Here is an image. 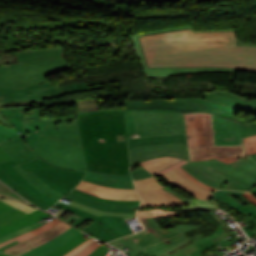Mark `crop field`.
Segmentation results:
<instances>
[{"mask_svg": "<svg viewBox=\"0 0 256 256\" xmlns=\"http://www.w3.org/2000/svg\"><path fill=\"white\" fill-rule=\"evenodd\" d=\"M24 214H26V213H24L16 208H12V209L0 214V225L6 224Z\"/></svg>", "mask_w": 256, "mask_h": 256, "instance_id": "crop-field-41", "label": "crop field"}, {"mask_svg": "<svg viewBox=\"0 0 256 256\" xmlns=\"http://www.w3.org/2000/svg\"><path fill=\"white\" fill-rule=\"evenodd\" d=\"M144 71L147 75V78L178 75V74H188V73H198V72H210V71L234 72V74L236 72L234 70L220 69V68L146 69ZM234 74L231 80H233Z\"/></svg>", "mask_w": 256, "mask_h": 256, "instance_id": "crop-field-26", "label": "crop field"}, {"mask_svg": "<svg viewBox=\"0 0 256 256\" xmlns=\"http://www.w3.org/2000/svg\"><path fill=\"white\" fill-rule=\"evenodd\" d=\"M249 192L253 193V194H256V188L250 190Z\"/></svg>", "mask_w": 256, "mask_h": 256, "instance_id": "crop-field-64", "label": "crop field"}, {"mask_svg": "<svg viewBox=\"0 0 256 256\" xmlns=\"http://www.w3.org/2000/svg\"><path fill=\"white\" fill-rule=\"evenodd\" d=\"M123 106L127 137L138 134L132 111L183 113L181 99L124 101Z\"/></svg>", "mask_w": 256, "mask_h": 256, "instance_id": "crop-field-13", "label": "crop field"}, {"mask_svg": "<svg viewBox=\"0 0 256 256\" xmlns=\"http://www.w3.org/2000/svg\"><path fill=\"white\" fill-rule=\"evenodd\" d=\"M78 233H80L78 230L72 228L66 231L65 233H63L61 236H59L55 240L48 242L44 245H41L21 256H45L51 253L52 251H54L55 249H57L58 247H60L61 245H63L65 242L73 238Z\"/></svg>", "mask_w": 256, "mask_h": 256, "instance_id": "crop-field-25", "label": "crop field"}, {"mask_svg": "<svg viewBox=\"0 0 256 256\" xmlns=\"http://www.w3.org/2000/svg\"><path fill=\"white\" fill-rule=\"evenodd\" d=\"M246 206H248V207L251 208L252 210L256 211V207H255L253 204L246 205Z\"/></svg>", "mask_w": 256, "mask_h": 256, "instance_id": "crop-field-63", "label": "crop field"}, {"mask_svg": "<svg viewBox=\"0 0 256 256\" xmlns=\"http://www.w3.org/2000/svg\"><path fill=\"white\" fill-rule=\"evenodd\" d=\"M109 244H112L114 246H117V245L121 244L124 247H127L128 249H130V252H132L135 255L142 252L138 248H136L137 246L135 247L126 237L121 238V239L116 240V241H113V242H110Z\"/></svg>", "mask_w": 256, "mask_h": 256, "instance_id": "crop-field-46", "label": "crop field"}, {"mask_svg": "<svg viewBox=\"0 0 256 256\" xmlns=\"http://www.w3.org/2000/svg\"><path fill=\"white\" fill-rule=\"evenodd\" d=\"M17 135H19V133L13 127L8 128L0 124V142L13 138Z\"/></svg>", "mask_w": 256, "mask_h": 256, "instance_id": "crop-field-45", "label": "crop field"}, {"mask_svg": "<svg viewBox=\"0 0 256 256\" xmlns=\"http://www.w3.org/2000/svg\"><path fill=\"white\" fill-rule=\"evenodd\" d=\"M182 213L164 211L162 209L148 210V211H137L138 218L143 217H163V216H177L181 217Z\"/></svg>", "mask_w": 256, "mask_h": 256, "instance_id": "crop-field-39", "label": "crop field"}, {"mask_svg": "<svg viewBox=\"0 0 256 256\" xmlns=\"http://www.w3.org/2000/svg\"><path fill=\"white\" fill-rule=\"evenodd\" d=\"M172 172L177 175L180 179H182L183 181H185L186 183L202 190V191H205L207 193H210L212 194L213 193V190H210V189H207V188H204L202 187L201 185L195 183L194 181L190 180L184 173H182L180 170H178L177 168L172 170Z\"/></svg>", "mask_w": 256, "mask_h": 256, "instance_id": "crop-field-44", "label": "crop field"}, {"mask_svg": "<svg viewBox=\"0 0 256 256\" xmlns=\"http://www.w3.org/2000/svg\"><path fill=\"white\" fill-rule=\"evenodd\" d=\"M212 123L215 145H244L242 138L256 134V127L236 124L213 114Z\"/></svg>", "mask_w": 256, "mask_h": 256, "instance_id": "crop-field-14", "label": "crop field"}, {"mask_svg": "<svg viewBox=\"0 0 256 256\" xmlns=\"http://www.w3.org/2000/svg\"><path fill=\"white\" fill-rule=\"evenodd\" d=\"M140 220L146 229L127 237L150 256H162L168 251L189 242L191 239L202 237L199 234L188 239L183 234L200 226L178 225L163 232L153 218Z\"/></svg>", "mask_w": 256, "mask_h": 256, "instance_id": "crop-field-6", "label": "crop field"}, {"mask_svg": "<svg viewBox=\"0 0 256 256\" xmlns=\"http://www.w3.org/2000/svg\"><path fill=\"white\" fill-rule=\"evenodd\" d=\"M93 240V238L88 239L87 241H85L84 243H82L81 245H79L78 247H76L75 249H73L72 251H70L69 253H67L64 256H70L73 253H75L76 251H78L79 249H81L82 247H84L86 244H88L89 242H91Z\"/></svg>", "mask_w": 256, "mask_h": 256, "instance_id": "crop-field-55", "label": "crop field"}, {"mask_svg": "<svg viewBox=\"0 0 256 256\" xmlns=\"http://www.w3.org/2000/svg\"><path fill=\"white\" fill-rule=\"evenodd\" d=\"M242 196L246 197L250 202H252L256 206V197L249 193H245Z\"/></svg>", "mask_w": 256, "mask_h": 256, "instance_id": "crop-field-58", "label": "crop field"}, {"mask_svg": "<svg viewBox=\"0 0 256 256\" xmlns=\"http://www.w3.org/2000/svg\"><path fill=\"white\" fill-rule=\"evenodd\" d=\"M0 180H2L4 183H6L8 186H10L12 189H14L16 192H18L21 196H23L25 199H27L29 202H31L33 205L46 210L50 208L46 204L42 203L35 197L28 194L26 191H24L20 186H18L9 176L8 174L3 170L0 169Z\"/></svg>", "mask_w": 256, "mask_h": 256, "instance_id": "crop-field-28", "label": "crop field"}, {"mask_svg": "<svg viewBox=\"0 0 256 256\" xmlns=\"http://www.w3.org/2000/svg\"><path fill=\"white\" fill-rule=\"evenodd\" d=\"M182 159H176V158H169V157H162V158H155L151 160H147L144 162L139 163L143 168L150 171L152 174L161 171L179 161Z\"/></svg>", "mask_w": 256, "mask_h": 256, "instance_id": "crop-field-30", "label": "crop field"}, {"mask_svg": "<svg viewBox=\"0 0 256 256\" xmlns=\"http://www.w3.org/2000/svg\"><path fill=\"white\" fill-rule=\"evenodd\" d=\"M0 193L1 194H5V195H12V196H14V197H16V198H18V199H21V200H23L22 198H20L19 196H17L15 193H13L12 191H10L8 188H6L4 185H2L1 183H0Z\"/></svg>", "mask_w": 256, "mask_h": 256, "instance_id": "crop-field-54", "label": "crop field"}, {"mask_svg": "<svg viewBox=\"0 0 256 256\" xmlns=\"http://www.w3.org/2000/svg\"><path fill=\"white\" fill-rule=\"evenodd\" d=\"M83 235L84 234L82 233L78 234L76 237H74L66 244H64L63 246H61L60 248H58L57 250H55L54 252L47 256H63L64 254H66L67 252H69L70 250H72L73 248H75L76 246H78L79 244L88 239L83 238Z\"/></svg>", "mask_w": 256, "mask_h": 256, "instance_id": "crop-field-36", "label": "crop field"}, {"mask_svg": "<svg viewBox=\"0 0 256 256\" xmlns=\"http://www.w3.org/2000/svg\"><path fill=\"white\" fill-rule=\"evenodd\" d=\"M15 168L35 187L46 193L47 195L55 198L61 199L64 195L59 192L47 187L36 175H34L31 171L25 172L19 165L15 166Z\"/></svg>", "mask_w": 256, "mask_h": 256, "instance_id": "crop-field-29", "label": "crop field"}, {"mask_svg": "<svg viewBox=\"0 0 256 256\" xmlns=\"http://www.w3.org/2000/svg\"><path fill=\"white\" fill-rule=\"evenodd\" d=\"M70 69L65 58H52L0 66V87H20L46 82L44 76Z\"/></svg>", "mask_w": 256, "mask_h": 256, "instance_id": "crop-field-7", "label": "crop field"}, {"mask_svg": "<svg viewBox=\"0 0 256 256\" xmlns=\"http://www.w3.org/2000/svg\"><path fill=\"white\" fill-rule=\"evenodd\" d=\"M18 62L64 56L61 49L16 53Z\"/></svg>", "mask_w": 256, "mask_h": 256, "instance_id": "crop-field-31", "label": "crop field"}, {"mask_svg": "<svg viewBox=\"0 0 256 256\" xmlns=\"http://www.w3.org/2000/svg\"><path fill=\"white\" fill-rule=\"evenodd\" d=\"M108 251H109L108 248L101 245L98 249H96L89 256H105Z\"/></svg>", "mask_w": 256, "mask_h": 256, "instance_id": "crop-field-53", "label": "crop field"}, {"mask_svg": "<svg viewBox=\"0 0 256 256\" xmlns=\"http://www.w3.org/2000/svg\"><path fill=\"white\" fill-rule=\"evenodd\" d=\"M49 214L41 211V210H35L11 223H8L6 225L0 226V237L15 231L19 228H22L24 226H27L31 223H34L36 221H39L43 219L44 217L48 216Z\"/></svg>", "mask_w": 256, "mask_h": 256, "instance_id": "crop-field-27", "label": "crop field"}, {"mask_svg": "<svg viewBox=\"0 0 256 256\" xmlns=\"http://www.w3.org/2000/svg\"><path fill=\"white\" fill-rule=\"evenodd\" d=\"M83 180L104 186L135 189L130 175H110L87 172Z\"/></svg>", "mask_w": 256, "mask_h": 256, "instance_id": "crop-field-23", "label": "crop field"}, {"mask_svg": "<svg viewBox=\"0 0 256 256\" xmlns=\"http://www.w3.org/2000/svg\"><path fill=\"white\" fill-rule=\"evenodd\" d=\"M190 161L216 158L226 163L246 156L243 146H214L211 114H184Z\"/></svg>", "mask_w": 256, "mask_h": 256, "instance_id": "crop-field-5", "label": "crop field"}, {"mask_svg": "<svg viewBox=\"0 0 256 256\" xmlns=\"http://www.w3.org/2000/svg\"><path fill=\"white\" fill-rule=\"evenodd\" d=\"M33 105L31 102H26V103H10V104H6V103H0V108H5V107H9V106H30ZM0 123H3L9 127H11L12 125L4 118V116L0 113Z\"/></svg>", "mask_w": 256, "mask_h": 256, "instance_id": "crop-field-49", "label": "crop field"}, {"mask_svg": "<svg viewBox=\"0 0 256 256\" xmlns=\"http://www.w3.org/2000/svg\"><path fill=\"white\" fill-rule=\"evenodd\" d=\"M0 146L18 163H24L38 158L17 136L11 140L0 143Z\"/></svg>", "mask_w": 256, "mask_h": 256, "instance_id": "crop-field-22", "label": "crop field"}, {"mask_svg": "<svg viewBox=\"0 0 256 256\" xmlns=\"http://www.w3.org/2000/svg\"><path fill=\"white\" fill-rule=\"evenodd\" d=\"M55 206L61 207L69 212L75 213L77 215L83 216L87 219H90L92 221L97 220L100 222L102 225L108 227L118 238L132 233L131 228L128 226V224L125 222L123 217H118V216H110V215H104L97 217L95 215H92L90 213H87L85 211L73 208L71 206L62 204V203H57Z\"/></svg>", "mask_w": 256, "mask_h": 256, "instance_id": "crop-field-17", "label": "crop field"}, {"mask_svg": "<svg viewBox=\"0 0 256 256\" xmlns=\"http://www.w3.org/2000/svg\"><path fill=\"white\" fill-rule=\"evenodd\" d=\"M16 243H18V242L15 241V242H13V243H10V244H8V245H6V246L0 248V252L6 253V252H4L2 249L6 248V247H9V246H11V245H13V244H16Z\"/></svg>", "mask_w": 256, "mask_h": 256, "instance_id": "crop-field-62", "label": "crop field"}, {"mask_svg": "<svg viewBox=\"0 0 256 256\" xmlns=\"http://www.w3.org/2000/svg\"><path fill=\"white\" fill-rule=\"evenodd\" d=\"M76 189L100 198L113 200H140L136 190L109 188L82 181Z\"/></svg>", "mask_w": 256, "mask_h": 256, "instance_id": "crop-field-19", "label": "crop field"}, {"mask_svg": "<svg viewBox=\"0 0 256 256\" xmlns=\"http://www.w3.org/2000/svg\"><path fill=\"white\" fill-rule=\"evenodd\" d=\"M134 180L135 179H139V178H144V177H148V176H152V174L148 171H146L145 169L141 168L135 171L131 172Z\"/></svg>", "mask_w": 256, "mask_h": 256, "instance_id": "crop-field-52", "label": "crop field"}, {"mask_svg": "<svg viewBox=\"0 0 256 256\" xmlns=\"http://www.w3.org/2000/svg\"><path fill=\"white\" fill-rule=\"evenodd\" d=\"M4 203H5V202H4ZM4 203L0 201V213H2V212H4V211H6V210L12 208V207L6 205L7 203H6V204H4Z\"/></svg>", "mask_w": 256, "mask_h": 256, "instance_id": "crop-field-59", "label": "crop field"}, {"mask_svg": "<svg viewBox=\"0 0 256 256\" xmlns=\"http://www.w3.org/2000/svg\"><path fill=\"white\" fill-rule=\"evenodd\" d=\"M199 181L217 188L220 183L224 189L248 191L256 187V162L252 159L230 164L216 159L189 162L182 165Z\"/></svg>", "mask_w": 256, "mask_h": 256, "instance_id": "crop-field-4", "label": "crop field"}, {"mask_svg": "<svg viewBox=\"0 0 256 256\" xmlns=\"http://www.w3.org/2000/svg\"><path fill=\"white\" fill-rule=\"evenodd\" d=\"M243 230L245 231V233L248 235V237L253 236L255 233L251 230V228L249 226L247 227H243Z\"/></svg>", "mask_w": 256, "mask_h": 256, "instance_id": "crop-field-60", "label": "crop field"}, {"mask_svg": "<svg viewBox=\"0 0 256 256\" xmlns=\"http://www.w3.org/2000/svg\"><path fill=\"white\" fill-rule=\"evenodd\" d=\"M82 231L86 232L87 234L96 237L98 239H101L105 242L117 239L113 233L109 231L106 227L102 226L98 222H93L89 226H87L85 229Z\"/></svg>", "mask_w": 256, "mask_h": 256, "instance_id": "crop-field-33", "label": "crop field"}, {"mask_svg": "<svg viewBox=\"0 0 256 256\" xmlns=\"http://www.w3.org/2000/svg\"><path fill=\"white\" fill-rule=\"evenodd\" d=\"M20 88H0V102H26L32 101L34 104H44L43 99L65 95L79 90H91L104 88V85L87 87V82L69 84L59 87L58 84L52 86L49 82L40 85Z\"/></svg>", "mask_w": 256, "mask_h": 256, "instance_id": "crop-field-9", "label": "crop field"}, {"mask_svg": "<svg viewBox=\"0 0 256 256\" xmlns=\"http://www.w3.org/2000/svg\"><path fill=\"white\" fill-rule=\"evenodd\" d=\"M2 200H4L5 202H7V203H9V204H11V205H13V206H15V207L25 211V212H31L32 210H34V208L29 207L27 205H24V204H22L20 202H17L15 200H11V199H2Z\"/></svg>", "mask_w": 256, "mask_h": 256, "instance_id": "crop-field-51", "label": "crop field"}, {"mask_svg": "<svg viewBox=\"0 0 256 256\" xmlns=\"http://www.w3.org/2000/svg\"><path fill=\"white\" fill-rule=\"evenodd\" d=\"M17 165V163L12 160V161H7V162H1L0 163V168H3L9 175L10 177L17 183L19 184L23 189H25L28 193L31 195L35 196L42 202L46 203L47 205H53L55 204L56 200L48 197L45 195L43 192L32 186L13 166Z\"/></svg>", "mask_w": 256, "mask_h": 256, "instance_id": "crop-field-21", "label": "crop field"}, {"mask_svg": "<svg viewBox=\"0 0 256 256\" xmlns=\"http://www.w3.org/2000/svg\"><path fill=\"white\" fill-rule=\"evenodd\" d=\"M199 249L196 247L192 242H189L164 256H190L189 254L194 252L195 250Z\"/></svg>", "mask_w": 256, "mask_h": 256, "instance_id": "crop-field-40", "label": "crop field"}, {"mask_svg": "<svg viewBox=\"0 0 256 256\" xmlns=\"http://www.w3.org/2000/svg\"><path fill=\"white\" fill-rule=\"evenodd\" d=\"M0 256H9V255H5V254H1V253H0Z\"/></svg>", "mask_w": 256, "mask_h": 256, "instance_id": "crop-field-66", "label": "crop field"}, {"mask_svg": "<svg viewBox=\"0 0 256 256\" xmlns=\"http://www.w3.org/2000/svg\"><path fill=\"white\" fill-rule=\"evenodd\" d=\"M32 151L53 166L87 171L77 125L47 126Z\"/></svg>", "mask_w": 256, "mask_h": 256, "instance_id": "crop-field-3", "label": "crop field"}, {"mask_svg": "<svg viewBox=\"0 0 256 256\" xmlns=\"http://www.w3.org/2000/svg\"><path fill=\"white\" fill-rule=\"evenodd\" d=\"M133 113L139 136L186 133L183 114Z\"/></svg>", "mask_w": 256, "mask_h": 256, "instance_id": "crop-field-11", "label": "crop field"}, {"mask_svg": "<svg viewBox=\"0 0 256 256\" xmlns=\"http://www.w3.org/2000/svg\"><path fill=\"white\" fill-rule=\"evenodd\" d=\"M143 68L220 67L256 72V45L239 44L235 29L193 26L133 34Z\"/></svg>", "mask_w": 256, "mask_h": 256, "instance_id": "crop-field-1", "label": "crop field"}, {"mask_svg": "<svg viewBox=\"0 0 256 256\" xmlns=\"http://www.w3.org/2000/svg\"><path fill=\"white\" fill-rule=\"evenodd\" d=\"M60 220H58V219H53V220H51L50 222H48L47 224H45V225H43V226H41V227H39V228H36V229H34V230H32V231H30V232H28V233H25V234H22V235H20V236H17V237H15V238H12V239H10V240H8V241H5V242H3V243H1L0 244V247L1 246H3V245H5V244H8V243H10V242H13V241H15V240H17V241H22V240H25V239H27V238H30V237H33V236H35V235H37V234H40V233H42V232H44V231H46V230H48L49 228H51L52 226H54L56 223H58Z\"/></svg>", "mask_w": 256, "mask_h": 256, "instance_id": "crop-field-35", "label": "crop field"}, {"mask_svg": "<svg viewBox=\"0 0 256 256\" xmlns=\"http://www.w3.org/2000/svg\"><path fill=\"white\" fill-rule=\"evenodd\" d=\"M20 166L25 171L31 170L46 185L65 195L81 181L85 174L84 171H72L53 167L40 158Z\"/></svg>", "mask_w": 256, "mask_h": 256, "instance_id": "crop-field-10", "label": "crop field"}, {"mask_svg": "<svg viewBox=\"0 0 256 256\" xmlns=\"http://www.w3.org/2000/svg\"><path fill=\"white\" fill-rule=\"evenodd\" d=\"M243 140H244V144L247 149L248 155L255 154L256 153V135L249 138H245Z\"/></svg>", "mask_w": 256, "mask_h": 256, "instance_id": "crop-field-48", "label": "crop field"}, {"mask_svg": "<svg viewBox=\"0 0 256 256\" xmlns=\"http://www.w3.org/2000/svg\"><path fill=\"white\" fill-rule=\"evenodd\" d=\"M131 166L140 161L170 156L189 161L186 134L128 138Z\"/></svg>", "mask_w": 256, "mask_h": 256, "instance_id": "crop-field-8", "label": "crop field"}, {"mask_svg": "<svg viewBox=\"0 0 256 256\" xmlns=\"http://www.w3.org/2000/svg\"><path fill=\"white\" fill-rule=\"evenodd\" d=\"M88 171L130 174L123 110L77 114Z\"/></svg>", "mask_w": 256, "mask_h": 256, "instance_id": "crop-field-2", "label": "crop field"}, {"mask_svg": "<svg viewBox=\"0 0 256 256\" xmlns=\"http://www.w3.org/2000/svg\"><path fill=\"white\" fill-rule=\"evenodd\" d=\"M97 242L98 241L92 242L74 256H88L91 252H93L96 248L100 246V244H98Z\"/></svg>", "mask_w": 256, "mask_h": 256, "instance_id": "crop-field-50", "label": "crop field"}, {"mask_svg": "<svg viewBox=\"0 0 256 256\" xmlns=\"http://www.w3.org/2000/svg\"><path fill=\"white\" fill-rule=\"evenodd\" d=\"M20 112L24 124V133L20 137L31 150L46 125L77 124L75 115L42 117L41 110H31L30 107H26V111Z\"/></svg>", "mask_w": 256, "mask_h": 256, "instance_id": "crop-field-12", "label": "crop field"}, {"mask_svg": "<svg viewBox=\"0 0 256 256\" xmlns=\"http://www.w3.org/2000/svg\"><path fill=\"white\" fill-rule=\"evenodd\" d=\"M205 99L256 114V99L239 97L227 91H212L205 94Z\"/></svg>", "mask_w": 256, "mask_h": 256, "instance_id": "crop-field-20", "label": "crop field"}, {"mask_svg": "<svg viewBox=\"0 0 256 256\" xmlns=\"http://www.w3.org/2000/svg\"><path fill=\"white\" fill-rule=\"evenodd\" d=\"M19 110H25V108L10 107L9 109H0V112L8 119L17 131L23 133V125Z\"/></svg>", "mask_w": 256, "mask_h": 256, "instance_id": "crop-field-34", "label": "crop field"}, {"mask_svg": "<svg viewBox=\"0 0 256 256\" xmlns=\"http://www.w3.org/2000/svg\"><path fill=\"white\" fill-rule=\"evenodd\" d=\"M184 163H187V161L184 160V161H182V162H180V163H178V164H176V165H174V166H172V167H170V168H168V169H165V170H163V171H161V172H158V173L154 174V176H155V175L162 174V173H164V172H167V171H169V170H171V169L177 167V168L180 169L182 172H184L190 179H192V180L198 182L199 184H201V185H203V186H205V187H207V188L216 190V189H214V188H212V187H210V186H208V185H205V184L199 182V181L196 180L193 176H191L185 169H183V168L180 166V165H182V164H184Z\"/></svg>", "mask_w": 256, "mask_h": 256, "instance_id": "crop-field-47", "label": "crop field"}, {"mask_svg": "<svg viewBox=\"0 0 256 256\" xmlns=\"http://www.w3.org/2000/svg\"><path fill=\"white\" fill-rule=\"evenodd\" d=\"M65 204H67V203H65ZM68 205H71V206H74V207H76V208L85 210V211L90 212V213H92V214H95V215H97V216L104 215V214H110V215L123 216L124 219L132 218V217H135V216H136L135 214L103 212V211H99V210L90 208V207H88V206H85V205H82V204H79V203H76V202H73V201H70V203H69Z\"/></svg>", "mask_w": 256, "mask_h": 256, "instance_id": "crop-field-38", "label": "crop field"}, {"mask_svg": "<svg viewBox=\"0 0 256 256\" xmlns=\"http://www.w3.org/2000/svg\"><path fill=\"white\" fill-rule=\"evenodd\" d=\"M251 158L256 160V155H251Z\"/></svg>", "mask_w": 256, "mask_h": 256, "instance_id": "crop-field-65", "label": "crop field"}, {"mask_svg": "<svg viewBox=\"0 0 256 256\" xmlns=\"http://www.w3.org/2000/svg\"><path fill=\"white\" fill-rule=\"evenodd\" d=\"M73 103L77 106V113L91 111V110H100L98 97L95 99L85 98L83 100H73Z\"/></svg>", "mask_w": 256, "mask_h": 256, "instance_id": "crop-field-37", "label": "crop field"}, {"mask_svg": "<svg viewBox=\"0 0 256 256\" xmlns=\"http://www.w3.org/2000/svg\"><path fill=\"white\" fill-rule=\"evenodd\" d=\"M72 228L71 226L67 225L64 222H59L57 225L49 229L48 231L37 235L33 238H30L28 240L22 241L16 245H13L9 248L4 249L7 253L13 254V255H21L22 253L35 248L41 244H44L56 237H58L60 234L65 232L66 230Z\"/></svg>", "mask_w": 256, "mask_h": 256, "instance_id": "crop-field-18", "label": "crop field"}, {"mask_svg": "<svg viewBox=\"0 0 256 256\" xmlns=\"http://www.w3.org/2000/svg\"><path fill=\"white\" fill-rule=\"evenodd\" d=\"M234 209L237 210L242 215H244L245 218H247L253 225L256 226V212L241 204Z\"/></svg>", "mask_w": 256, "mask_h": 256, "instance_id": "crop-field-43", "label": "crop field"}, {"mask_svg": "<svg viewBox=\"0 0 256 256\" xmlns=\"http://www.w3.org/2000/svg\"><path fill=\"white\" fill-rule=\"evenodd\" d=\"M87 219H84V218H79V219H77L76 221H74L73 223H72V225H74V226H79L80 224H82L83 222H85Z\"/></svg>", "mask_w": 256, "mask_h": 256, "instance_id": "crop-field-61", "label": "crop field"}, {"mask_svg": "<svg viewBox=\"0 0 256 256\" xmlns=\"http://www.w3.org/2000/svg\"><path fill=\"white\" fill-rule=\"evenodd\" d=\"M182 103L184 113L209 112L237 123L235 116L239 110L233 109L231 107L206 101L203 98H185L182 99Z\"/></svg>", "mask_w": 256, "mask_h": 256, "instance_id": "crop-field-16", "label": "crop field"}, {"mask_svg": "<svg viewBox=\"0 0 256 256\" xmlns=\"http://www.w3.org/2000/svg\"><path fill=\"white\" fill-rule=\"evenodd\" d=\"M237 121H238V123H240V124H246V125L256 126V122H250V121H248V120H244V119L239 118V117H237Z\"/></svg>", "mask_w": 256, "mask_h": 256, "instance_id": "crop-field-57", "label": "crop field"}, {"mask_svg": "<svg viewBox=\"0 0 256 256\" xmlns=\"http://www.w3.org/2000/svg\"><path fill=\"white\" fill-rule=\"evenodd\" d=\"M134 182L142 200V205L140 207L151 205H186V203L178 197L163 190L162 188H164V186L159 185L154 177H150L145 180H136Z\"/></svg>", "mask_w": 256, "mask_h": 256, "instance_id": "crop-field-15", "label": "crop field"}, {"mask_svg": "<svg viewBox=\"0 0 256 256\" xmlns=\"http://www.w3.org/2000/svg\"><path fill=\"white\" fill-rule=\"evenodd\" d=\"M12 158L0 147V161L11 160Z\"/></svg>", "mask_w": 256, "mask_h": 256, "instance_id": "crop-field-56", "label": "crop field"}, {"mask_svg": "<svg viewBox=\"0 0 256 256\" xmlns=\"http://www.w3.org/2000/svg\"><path fill=\"white\" fill-rule=\"evenodd\" d=\"M72 192H74L76 194H79L81 196L96 200V201L112 203V204H137V203H140V201H112V200L100 199V198H96L94 196H91L89 194H86L84 192L78 191L76 189H73Z\"/></svg>", "mask_w": 256, "mask_h": 256, "instance_id": "crop-field-42", "label": "crop field"}, {"mask_svg": "<svg viewBox=\"0 0 256 256\" xmlns=\"http://www.w3.org/2000/svg\"><path fill=\"white\" fill-rule=\"evenodd\" d=\"M65 198L71 199L73 201L88 205L90 207L103 210V211H113V212H126V213H135V210L139 206L137 205H111V204H106V203H100L96 202L84 197H81L79 195L69 193L68 195L65 196Z\"/></svg>", "mask_w": 256, "mask_h": 256, "instance_id": "crop-field-24", "label": "crop field"}, {"mask_svg": "<svg viewBox=\"0 0 256 256\" xmlns=\"http://www.w3.org/2000/svg\"><path fill=\"white\" fill-rule=\"evenodd\" d=\"M165 178H167L169 181H171L174 185L180 187L181 189L185 190L186 192L194 195L196 198L201 200H207L212 198L211 195L204 193L202 191H199L192 186L186 184L182 180H180L178 177H176L171 171L162 174Z\"/></svg>", "mask_w": 256, "mask_h": 256, "instance_id": "crop-field-32", "label": "crop field"}]
</instances>
